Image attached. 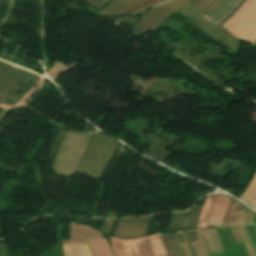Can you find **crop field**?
<instances>
[{"label": "crop field", "instance_id": "obj_6", "mask_svg": "<svg viewBox=\"0 0 256 256\" xmlns=\"http://www.w3.org/2000/svg\"><path fill=\"white\" fill-rule=\"evenodd\" d=\"M93 256H113L107 240L89 241Z\"/></svg>", "mask_w": 256, "mask_h": 256}, {"label": "crop field", "instance_id": "obj_7", "mask_svg": "<svg viewBox=\"0 0 256 256\" xmlns=\"http://www.w3.org/2000/svg\"><path fill=\"white\" fill-rule=\"evenodd\" d=\"M217 194L215 195H210L207 197L203 208H202V212L198 221V225L197 227H202V226H206L207 220H208V216H209V212L214 204L215 201V197Z\"/></svg>", "mask_w": 256, "mask_h": 256}, {"label": "crop field", "instance_id": "obj_1", "mask_svg": "<svg viewBox=\"0 0 256 256\" xmlns=\"http://www.w3.org/2000/svg\"><path fill=\"white\" fill-rule=\"evenodd\" d=\"M110 240L115 256H166L159 234L130 241Z\"/></svg>", "mask_w": 256, "mask_h": 256}, {"label": "crop field", "instance_id": "obj_8", "mask_svg": "<svg viewBox=\"0 0 256 256\" xmlns=\"http://www.w3.org/2000/svg\"><path fill=\"white\" fill-rule=\"evenodd\" d=\"M256 2V0H247L243 6L233 15V17L226 21L222 26L227 30Z\"/></svg>", "mask_w": 256, "mask_h": 256}, {"label": "crop field", "instance_id": "obj_2", "mask_svg": "<svg viewBox=\"0 0 256 256\" xmlns=\"http://www.w3.org/2000/svg\"><path fill=\"white\" fill-rule=\"evenodd\" d=\"M228 31L252 44L256 42V3Z\"/></svg>", "mask_w": 256, "mask_h": 256}, {"label": "crop field", "instance_id": "obj_9", "mask_svg": "<svg viewBox=\"0 0 256 256\" xmlns=\"http://www.w3.org/2000/svg\"><path fill=\"white\" fill-rule=\"evenodd\" d=\"M237 228H238V230H239V233H240V235H241V237H242V240H243V242H244V245H245V247H246V249H247V252H248L249 256H255V255H254V252H253V250H252V248H251V246H250V244H249V242H248V239H247V237H246V234H245V232H244L243 227H242V226H239V227H237Z\"/></svg>", "mask_w": 256, "mask_h": 256}, {"label": "crop field", "instance_id": "obj_4", "mask_svg": "<svg viewBox=\"0 0 256 256\" xmlns=\"http://www.w3.org/2000/svg\"><path fill=\"white\" fill-rule=\"evenodd\" d=\"M200 231L209 253L223 250L215 229Z\"/></svg>", "mask_w": 256, "mask_h": 256}, {"label": "crop field", "instance_id": "obj_3", "mask_svg": "<svg viewBox=\"0 0 256 256\" xmlns=\"http://www.w3.org/2000/svg\"><path fill=\"white\" fill-rule=\"evenodd\" d=\"M230 199L226 196L217 195L215 204L210 212L207 225L221 226L223 215L227 209Z\"/></svg>", "mask_w": 256, "mask_h": 256}, {"label": "crop field", "instance_id": "obj_5", "mask_svg": "<svg viewBox=\"0 0 256 256\" xmlns=\"http://www.w3.org/2000/svg\"><path fill=\"white\" fill-rule=\"evenodd\" d=\"M64 256H92L89 244L62 245Z\"/></svg>", "mask_w": 256, "mask_h": 256}]
</instances>
